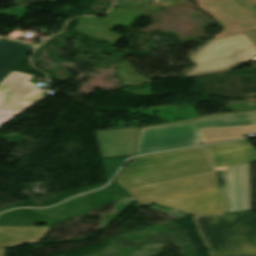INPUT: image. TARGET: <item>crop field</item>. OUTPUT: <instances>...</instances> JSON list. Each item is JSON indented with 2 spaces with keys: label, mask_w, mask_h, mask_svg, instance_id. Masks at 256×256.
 I'll return each instance as SVG.
<instances>
[{
  "label": "crop field",
  "mask_w": 256,
  "mask_h": 256,
  "mask_svg": "<svg viewBox=\"0 0 256 256\" xmlns=\"http://www.w3.org/2000/svg\"><path fill=\"white\" fill-rule=\"evenodd\" d=\"M116 180L138 204L195 215L227 209L204 147L135 157Z\"/></svg>",
  "instance_id": "8a807250"
},
{
  "label": "crop field",
  "mask_w": 256,
  "mask_h": 256,
  "mask_svg": "<svg viewBox=\"0 0 256 256\" xmlns=\"http://www.w3.org/2000/svg\"><path fill=\"white\" fill-rule=\"evenodd\" d=\"M212 256H256L253 211L197 217Z\"/></svg>",
  "instance_id": "ac0d7876"
},
{
  "label": "crop field",
  "mask_w": 256,
  "mask_h": 256,
  "mask_svg": "<svg viewBox=\"0 0 256 256\" xmlns=\"http://www.w3.org/2000/svg\"><path fill=\"white\" fill-rule=\"evenodd\" d=\"M251 124H256V112L216 115L140 129L135 155L201 144L196 128Z\"/></svg>",
  "instance_id": "34b2d1b8"
},
{
  "label": "crop field",
  "mask_w": 256,
  "mask_h": 256,
  "mask_svg": "<svg viewBox=\"0 0 256 256\" xmlns=\"http://www.w3.org/2000/svg\"><path fill=\"white\" fill-rule=\"evenodd\" d=\"M33 76L12 71L0 82V128L42 98L45 90L28 82Z\"/></svg>",
  "instance_id": "412701ff"
},
{
  "label": "crop field",
  "mask_w": 256,
  "mask_h": 256,
  "mask_svg": "<svg viewBox=\"0 0 256 256\" xmlns=\"http://www.w3.org/2000/svg\"><path fill=\"white\" fill-rule=\"evenodd\" d=\"M155 5H145L141 8H112L108 15L101 19L97 17H83L80 19L76 30L116 45L122 35L110 32L108 29L119 24L131 27L139 15L157 11L161 6H170L188 0H163Z\"/></svg>",
  "instance_id": "f4fd0767"
},
{
  "label": "crop field",
  "mask_w": 256,
  "mask_h": 256,
  "mask_svg": "<svg viewBox=\"0 0 256 256\" xmlns=\"http://www.w3.org/2000/svg\"><path fill=\"white\" fill-rule=\"evenodd\" d=\"M226 182L223 191L231 206L227 212L252 210L249 164L227 169Z\"/></svg>",
  "instance_id": "dd49c442"
},
{
  "label": "crop field",
  "mask_w": 256,
  "mask_h": 256,
  "mask_svg": "<svg viewBox=\"0 0 256 256\" xmlns=\"http://www.w3.org/2000/svg\"><path fill=\"white\" fill-rule=\"evenodd\" d=\"M215 169L256 161V149L247 141L205 147Z\"/></svg>",
  "instance_id": "e52e79f7"
},
{
  "label": "crop field",
  "mask_w": 256,
  "mask_h": 256,
  "mask_svg": "<svg viewBox=\"0 0 256 256\" xmlns=\"http://www.w3.org/2000/svg\"><path fill=\"white\" fill-rule=\"evenodd\" d=\"M35 47L0 38V80L19 64Z\"/></svg>",
  "instance_id": "d8731c3e"
},
{
  "label": "crop field",
  "mask_w": 256,
  "mask_h": 256,
  "mask_svg": "<svg viewBox=\"0 0 256 256\" xmlns=\"http://www.w3.org/2000/svg\"><path fill=\"white\" fill-rule=\"evenodd\" d=\"M52 227L0 226V247L38 243Z\"/></svg>",
  "instance_id": "5a996713"
},
{
  "label": "crop field",
  "mask_w": 256,
  "mask_h": 256,
  "mask_svg": "<svg viewBox=\"0 0 256 256\" xmlns=\"http://www.w3.org/2000/svg\"><path fill=\"white\" fill-rule=\"evenodd\" d=\"M202 144L245 138L256 133V125L197 129Z\"/></svg>",
  "instance_id": "3316defc"
},
{
  "label": "crop field",
  "mask_w": 256,
  "mask_h": 256,
  "mask_svg": "<svg viewBox=\"0 0 256 256\" xmlns=\"http://www.w3.org/2000/svg\"><path fill=\"white\" fill-rule=\"evenodd\" d=\"M116 71L118 73V77L122 79V86L151 81L149 78L138 74L129 61L119 62Z\"/></svg>",
  "instance_id": "28ad6ade"
},
{
  "label": "crop field",
  "mask_w": 256,
  "mask_h": 256,
  "mask_svg": "<svg viewBox=\"0 0 256 256\" xmlns=\"http://www.w3.org/2000/svg\"><path fill=\"white\" fill-rule=\"evenodd\" d=\"M48 1H54V0H16V5L26 6L30 4H35L39 2H48Z\"/></svg>",
  "instance_id": "d1516ede"
},
{
  "label": "crop field",
  "mask_w": 256,
  "mask_h": 256,
  "mask_svg": "<svg viewBox=\"0 0 256 256\" xmlns=\"http://www.w3.org/2000/svg\"><path fill=\"white\" fill-rule=\"evenodd\" d=\"M5 248L0 249V256H4Z\"/></svg>",
  "instance_id": "22f410ed"
}]
</instances>
